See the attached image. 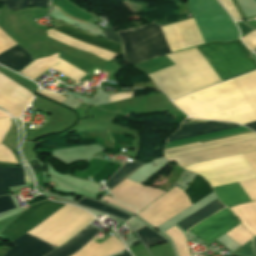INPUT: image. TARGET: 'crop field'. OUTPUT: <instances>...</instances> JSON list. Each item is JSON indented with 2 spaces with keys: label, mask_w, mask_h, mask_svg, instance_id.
Listing matches in <instances>:
<instances>
[{
  "label": "crop field",
  "mask_w": 256,
  "mask_h": 256,
  "mask_svg": "<svg viewBox=\"0 0 256 256\" xmlns=\"http://www.w3.org/2000/svg\"><path fill=\"white\" fill-rule=\"evenodd\" d=\"M188 7L205 43L239 38L238 28L217 0H189ZM194 19L160 27L172 52L203 44ZM160 28L151 24L118 33L130 66L171 53Z\"/></svg>",
  "instance_id": "crop-field-1"
},
{
  "label": "crop field",
  "mask_w": 256,
  "mask_h": 256,
  "mask_svg": "<svg viewBox=\"0 0 256 256\" xmlns=\"http://www.w3.org/2000/svg\"><path fill=\"white\" fill-rule=\"evenodd\" d=\"M233 45L256 69V62L240 40ZM231 42H212L197 46L198 50L223 81L253 71ZM196 47L167 55L176 65L148 75L170 99L222 82L221 78Z\"/></svg>",
  "instance_id": "crop-field-2"
},
{
  "label": "crop field",
  "mask_w": 256,
  "mask_h": 256,
  "mask_svg": "<svg viewBox=\"0 0 256 256\" xmlns=\"http://www.w3.org/2000/svg\"><path fill=\"white\" fill-rule=\"evenodd\" d=\"M233 82L256 113V71L233 79ZM232 80L214 85L173 101L192 118L238 122L256 120V114Z\"/></svg>",
  "instance_id": "crop-field-3"
},
{
  "label": "crop field",
  "mask_w": 256,
  "mask_h": 256,
  "mask_svg": "<svg viewBox=\"0 0 256 256\" xmlns=\"http://www.w3.org/2000/svg\"><path fill=\"white\" fill-rule=\"evenodd\" d=\"M92 220L90 214L65 205L26 234L56 248ZM26 234L11 242L13 248L3 256H43L54 249Z\"/></svg>",
  "instance_id": "crop-field-4"
},
{
  "label": "crop field",
  "mask_w": 256,
  "mask_h": 256,
  "mask_svg": "<svg viewBox=\"0 0 256 256\" xmlns=\"http://www.w3.org/2000/svg\"><path fill=\"white\" fill-rule=\"evenodd\" d=\"M184 192L194 204L213 190L203 178L196 175ZM184 192L176 187L173 188L139 212V217L153 227H158L193 205Z\"/></svg>",
  "instance_id": "crop-field-5"
},
{
  "label": "crop field",
  "mask_w": 256,
  "mask_h": 256,
  "mask_svg": "<svg viewBox=\"0 0 256 256\" xmlns=\"http://www.w3.org/2000/svg\"><path fill=\"white\" fill-rule=\"evenodd\" d=\"M241 155L256 173V151ZM241 155L202 162L184 169L203 175L212 187L256 178V174Z\"/></svg>",
  "instance_id": "crop-field-6"
},
{
  "label": "crop field",
  "mask_w": 256,
  "mask_h": 256,
  "mask_svg": "<svg viewBox=\"0 0 256 256\" xmlns=\"http://www.w3.org/2000/svg\"><path fill=\"white\" fill-rule=\"evenodd\" d=\"M91 228L92 227L87 225L79 233H77L72 239H70L67 243L63 244L62 246L58 247L57 249L53 250L52 252H50L49 254H47L45 256H54L55 254L59 253L63 249L72 245L75 241H77L82 235H84ZM98 232H99V230L92 228L83 237H81L77 242H75L72 246L68 247L64 251L57 254L56 256H71L76 251H78L80 248H82L84 245H86L88 242H90L91 239ZM123 249H125V248L121 244V242L111 236L107 240H105L103 243H101L100 245L91 241L90 243H88L86 246H84L82 249H80L78 252H76L72 256H109V255L119 252Z\"/></svg>",
  "instance_id": "crop-field-7"
},
{
  "label": "crop field",
  "mask_w": 256,
  "mask_h": 256,
  "mask_svg": "<svg viewBox=\"0 0 256 256\" xmlns=\"http://www.w3.org/2000/svg\"><path fill=\"white\" fill-rule=\"evenodd\" d=\"M64 204L50 202L49 200L38 203L17 217L4 230L0 236L13 241L17 237L42 222Z\"/></svg>",
  "instance_id": "crop-field-8"
},
{
  "label": "crop field",
  "mask_w": 256,
  "mask_h": 256,
  "mask_svg": "<svg viewBox=\"0 0 256 256\" xmlns=\"http://www.w3.org/2000/svg\"><path fill=\"white\" fill-rule=\"evenodd\" d=\"M144 187L145 185L125 179L110 192L115 199L123 203ZM163 193H165V191L147 186L132 198L127 200L124 204L134 207L139 212Z\"/></svg>",
  "instance_id": "crop-field-9"
},
{
  "label": "crop field",
  "mask_w": 256,
  "mask_h": 256,
  "mask_svg": "<svg viewBox=\"0 0 256 256\" xmlns=\"http://www.w3.org/2000/svg\"><path fill=\"white\" fill-rule=\"evenodd\" d=\"M238 224L234 215L225 208L188 231L209 244Z\"/></svg>",
  "instance_id": "crop-field-10"
},
{
  "label": "crop field",
  "mask_w": 256,
  "mask_h": 256,
  "mask_svg": "<svg viewBox=\"0 0 256 256\" xmlns=\"http://www.w3.org/2000/svg\"><path fill=\"white\" fill-rule=\"evenodd\" d=\"M252 150H256V140L191 153L187 155L177 156L173 158H168L167 160H169L170 162L175 161L180 167L183 168L185 166L195 164L198 162Z\"/></svg>",
  "instance_id": "crop-field-11"
},
{
  "label": "crop field",
  "mask_w": 256,
  "mask_h": 256,
  "mask_svg": "<svg viewBox=\"0 0 256 256\" xmlns=\"http://www.w3.org/2000/svg\"><path fill=\"white\" fill-rule=\"evenodd\" d=\"M237 127L241 126L235 123L188 119L183 121L178 131L169 137L166 143Z\"/></svg>",
  "instance_id": "crop-field-12"
},
{
  "label": "crop field",
  "mask_w": 256,
  "mask_h": 256,
  "mask_svg": "<svg viewBox=\"0 0 256 256\" xmlns=\"http://www.w3.org/2000/svg\"><path fill=\"white\" fill-rule=\"evenodd\" d=\"M252 139H256V133L254 132L242 134L234 137H229L225 139H220L212 142H207L203 144H200V142H197L193 144L166 149L164 150V155L166 158H168L172 156L182 155L186 153L196 152L200 150L210 149L214 147L224 146V145L238 143V142L252 140Z\"/></svg>",
  "instance_id": "crop-field-13"
},
{
  "label": "crop field",
  "mask_w": 256,
  "mask_h": 256,
  "mask_svg": "<svg viewBox=\"0 0 256 256\" xmlns=\"http://www.w3.org/2000/svg\"><path fill=\"white\" fill-rule=\"evenodd\" d=\"M55 30L62 32L68 36L74 37L76 39L82 40L84 42H87L89 44L95 45L97 47H100L102 49L108 50L110 52L116 53L118 55H120L122 53L121 47L119 45H116L114 43L105 41L103 39L94 37L92 35L83 33L81 31H78L68 25H61L57 28H55Z\"/></svg>",
  "instance_id": "crop-field-14"
},
{
  "label": "crop field",
  "mask_w": 256,
  "mask_h": 256,
  "mask_svg": "<svg viewBox=\"0 0 256 256\" xmlns=\"http://www.w3.org/2000/svg\"><path fill=\"white\" fill-rule=\"evenodd\" d=\"M213 189L220 201L227 207L249 201L237 183L215 187Z\"/></svg>",
  "instance_id": "crop-field-15"
},
{
  "label": "crop field",
  "mask_w": 256,
  "mask_h": 256,
  "mask_svg": "<svg viewBox=\"0 0 256 256\" xmlns=\"http://www.w3.org/2000/svg\"><path fill=\"white\" fill-rule=\"evenodd\" d=\"M33 59L20 47L15 46L0 54V64L5 65L17 72L23 69Z\"/></svg>",
  "instance_id": "crop-field-16"
},
{
  "label": "crop field",
  "mask_w": 256,
  "mask_h": 256,
  "mask_svg": "<svg viewBox=\"0 0 256 256\" xmlns=\"http://www.w3.org/2000/svg\"><path fill=\"white\" fill-rule=\"evenodd\" d=\"M239 221L246 227L253 236H256V202L238 205L230 208Z\"/></svg>",
  "instance_id": "crop-field-17"
},
{
  "label": "crop field",
  "mask_w": 256,
  "mask_h": 256,
  "mask_svg": "<svg viewBox=\"0 0 256 256\" xmlns=\"http://www.w3.org/2000/svg\"><path fill=\"white\" fill-rule=\"evenodd\" d=\"M22 184V167H0V195L7 194V187Z\"/></svg>",
  "instance_id": "crop-field-18"
},
{
  "label": "crop field",
  "mask_w": 256,
  "mask_h": 256,
  "mask_svg": "<svg viewBox=\"0 0 256 256\" xmlns=\"http://www.w3.org/2000/svg\"><path fill=\"white\" fill-rule=\"evenodd\" d=\"M223 207L225 206L218 199H215L177 224L185 231Z\"/></svg>",
  "instance_id": "crop-field-19"
},
{
  "label": "crop field",
  "mask_w": 256,
  "mask_h": 256,
  "mask_svg": "<svg viewBox=\"0 0 256 256\" xmlns=\"http://www.w3.org/2000/svg\"><path fill=\"white\" fill-rule=\"evenodd\" d=\"M143 164L137 162H131L123 165L105 184L107 189H112L122 180H124L127 176H129L132 172H134L137 168L142 166Z\"/></svg>",
  "instance_id": "crop-field-20"
},
{
  "label": "crop field",
  "mask_w": 256,
  "mask_h": 256,
  "mask_svg": "<svg viewBox=\"0 0 256 256\" xmlns=\"http://www.w3.org/2000/svg\"><path fill=\"white\" fill-rule=\"evenodd\" d=\"M164 233L174 241L179 256H191L185 237L178 229L173 226Z\"/></svg>",
  "instance_id": "crop-field-21"
},
{
  "label": "crop field",
  "mask_w": 256,
  "mask_h": 256,
  "mask_svg": "<svg viewBox=\"0 0 256 256\" xmlns=\"http://www.w3.org/2000/svg\"><path fill=\"white\" fill-rule=\"evenodd\" d=\"M12 10H21L28 6H43L49 8V0H2Z\"/></svg>",
  "instance_id": "crop-field-22"
},
{
  "label": "crop field",
  "mask_w": 256,
  "mask_h": 256,
  "mask_svg": "<svg viewBox=\"0 0 256 256\" xmlns=\"http://www.w3.org/2000/svg\"><path fill=\"white\" fill-rule=\"evenodd\" d=\"M140 237V239L143 241V243L146 245V247L153 246L160 244L162 242H165L163 237L158 235L156 232L151 230L149 227H144L138 231H136Z\"/></svg>",
  "instance_id": "crop-field-23"
},
{
  "label": "crop field",
  "mask_w": 256,
  "mask_h": 256,
  "mask_svg": "<svg viewBox=\"0 0 256 256\" xmlns=\"http://www.w3.org/2000/svg\"><path fill=\"white\" fill-rule=\"evenodd\" d=\"M53 69L63 73L76 82L87 75L63 61L56 65Z\"/></svg>",
  "instance_id": "crop-field-24"
},
{
  "label": "crop field",
  "mask_w": 256,
  "mask_h": 256,
  "mask_svg": "<svg viewBox=\"0 0 256 256\" xmlns=\"http://www.w3.org/2000/svg\"><path fill=\"white\" fill-rule=\"evenodd\" d=\"M78 204H82V205H85V206H89V207H92L94 209H97V210H101V211H105L107 213H110V214H114L116 215L117 217L121 218L122 220H126L129 216L115 210V209H112L110 207H107L105 205H102L98 202H95L93 200H87V199H83L81 200ZM102 207H105L104 209H101Z\"/></svg>",
  "instance_id": "crop-field-25"
},
{
  "label": "crop field",
  "mask_w": 256,
  "mask_h": 256,
  "mask_svg": "<svg viewBox=\"0 0 256 256\" xmlns=\"http://www.w3.org/2000/svg\"><path fill=\"white\" fill-rule=\"evenodd\" d=\"M229 235L232 239H234L238 244L241 246L246 243L249 239L252 238V236L249 234V232L244 229L241 224L235 227L234 229L230 230L226 233Z\"/></svg>",
  "instance_id": "crop-field-26"
},
{
  "label": "crop field",
  "mask_w": 256,
  "mask_h": 256,
  "mask_svg": "<svg viewBox=\"0 0 256 256\" xmlns=\"http://www.w3.org/2000/svg\"><path fill=\"white\" fill-rule=\"evenodd\" d=\"M238 183L243 188V190L248 195V197L251 199V201H255L256 200V179L242 181Z\"/></svg>",
  "instance_id": "crop-field-27"
},
{
  "label": "crop field",
  "mask_w": 256,
  "mask_h": 256,
  "mask_svg": "<svg viewBox=\"0 0 256 256\" xmlns=\"http://www.w3.org/2000/svg\"><path fill=\"white\" fill-rule=\"evenodd\" d=\"M27 163L30 166V168L32 169L36 181L45 188L43 175H42L41 168H40V165H39L37 159L28 161Z\"/></svg>",
  "instance_id": "crop-field-28"
},
{
  "label": "crop field",
  "mask_w": 256,
  "mask_h": 256,
  "mask_svg": "<svg viewBox=\"0 0 256 256\" xmlns=\"http://www.w3.org/2000/svg\"><path fill=\"white\" fill-rule=\"evenodd\" d=\"M231 255L254 256L252 239Z\"/></svg>",
  "instance_id": "crop-field-29"
},
{
  "label": "crop field",
  "mask_w": 256,
  "mask_h": 256,
  "mask_svg": "<svg viewBox=\"0 0 256 256\" xmlns=\"http://www.w3.org/2000/svg\"><path fill=\"white\" fill-rule=\"evenodd\" d=\"M17 43L6 36L0 29V53L16 45Z\"/></svg>",
  "instance_id": "crop-field-30"
},
{
  "label": "crop field",
  "mask_w": 256,
  "mask_h": 256,
  "mask_svg": "<svg viewBox=\"0 0 256 256\" xmlns=\"http://www.w3.org/2000/svg\"><path fill=\"white\" fill-rule=\"evenodd\" d=\"M0 161L17 163L12 152L4 145H0Z\"/></svg>",
  "instance_id": "crop-field-31"
},
{
  "label": "crop field",
  "mask_w": 256,
  "mask_h": 256,
  "mask_svg": "<svg viewBox=\"0 0 256 256\" xmlns=\"http://www.w3.org/2000/svg\"><path fill=\"white\" fill-rule=\"evenodd\" d=\"M243 42L252 50L256 48V31H252L242 38Z\"/></svg>",
  "instance_id": "crop-field-32"
},
{
  "label": "crop field",
  "mask_w": 256,
  "mask_h": 256,
  "mask_svg": "<svg viewBox=\"0 0 256 256\" xmlns=\"http://www.w3.org/2000/svg\"><path fill=\"white\" fill-rule=\"evenodd\" d=\"M14 204L10 196L0 197V213L14 208Z\"/></svg>",
  "instance_id": "crop-field-33"
},
{
  "label": "crop field",
  "mask_w": 256,
  "mask_h": 256,
  "mask_svg": "<svg viewBox=\"0 0 256 256\" xmlns=\"http://www.w3.org/2000/svg\"><path fill=\"white\" fill-rule=\"evenodd\" d=\"M11 124L8 119H0V143L9 130Z\"/></svg>",
  "instance_id": "crop-field-34"
},
{
  "label": "crop field",
  "mask_w": 256,
  "mask_h": 256,
  "mask_svg": "<svg viewBox=\"0 0 256 256\" xmlns=\"http://www.w3.org/2000/svg\"><path fill=\"white\" fill-rule=\"evenodd\" d=\"M102 200H104V201H106V202H108V203H110V204H113V205H115V206H117V207H119V208H121V209H123V210H126V211H128V212H130V213H132V214H134V215L136 214V211H135L134 209L117 203V202H116L115 200H113L111 197L105 196L104 198H102ZM102 200H101V201H102ZM104 201H103V202H104Z\"/></svg>",
  "instance_id": "crop-field-35"
},
{
  "label": "crop field",
  "mask_w": 256,
  "mask_h": 256,
  "mask_svg": "<svg viewBox=\"0 0 256 256\" xmlns=\"http://www.w3.org/2000/svg\"><path fill=\"white\" fill-rule=\"evenodd\" d=\"M102 33L105 35V37H107V38H109V39H111V40L121 44L119 39H118V37H117V35L115 34L114 30L112 29V27L102 31Z\"/></svg>",
  "instance_id": "crop-field-36"
},
{
  "label": "crop field",
  "mask_w": 256,
  "mask_h": 256,
  "mask_svg": "<svg viewBox=\"0 0 256 256\" xmlns=\"http://www.w3.org/2000/svg\"><path fill=\"white\" fill-rule=\"evenodd\" d=\"M133 97V93H117L110 96V103L116 100L131 98Z\"/></svg>",
  "instance_id": "crop-field-37"
},
{
  "label": "crop field",
  "mask_w": 256,
  "mask_h": 256,
  "mask_svg": "<svg viewBox=\"0 0 256 256\" xmlns=\"http://www.w3.org/2000/svg\"><path fill=\"white\" fill-rule=\"evenodd\" d=\"M236 24L240 28L242 36H244L245 34H247V33H249L250 31L253 30V29H251L249 27H246L243 22H237Z\"/></svg>",
  "instance_id": "crop-field-38"
},
{
  "label": "crop field",
  "mask_w": 256,
  "mask_h": 256,
  "mask_svg": "<svg viewBox=\"0 0 256 256\" xmlns=\"http://www.w3.org/2000/svg\"><path fill=\"white\" fill-rule=\"evenodd\" d=\"M245 126L249 127L250 129L256 131V122L245 124Z\"/></svg>",
  "instance_id": "crop-field-39"
},
{
  "label": "crop field",
  "mask_w": 256,
  "mask_h": 256,
  "mask_svg": "<svg viewBox=\"0 0 256 256\" xmlns=\"http://www.w3.org/2000/svg\"><path fill=\"white\" fill-rule=\"evenodd\" d=\"M118 256H130V255L128 254V252H126V253H123V254L118 255Z\"/></svg>",
  "instance_id": "crop-field-40"
},
{
  "label": "crop field",
  "mask_w": 256,
  "mask_h": 256,
  "mask_svg": "<svg viewBox=\"0 0 256 256\" xmlns=\"http://www.w3.org/2000/svg\"><path fill=\"white\" fill-rule=\"evenodd\" d=\"M254 247H255V252H256V237H254Z\"/></svg>",
  "instance_id": "crop-field-41"
}]
</instances>
